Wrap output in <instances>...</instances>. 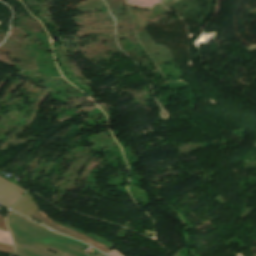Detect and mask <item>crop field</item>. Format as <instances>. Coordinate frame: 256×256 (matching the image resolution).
<instances>
[{
    "label": "crop field",
    "mask_w": 256,
    "mask_h": 256,
    "mask_svg": "<svg viewBox=\"0 0 256 256\" xmlns=\"http://www.w3.org/2000/svg\"><path fill=\"white\" fill-rule=\"evenodd\" d=\"M0 230L7 231V228L5 226L4 217H2V216H0Z\"/></svg>",
    "instance_id": "dd49c442"
},
{
    "label": "crop field",
    "mask_w": 256,
    "mask_h": 256,
    "mask_svg": "<svg viewBox=\"0 0 256 256\" xmlns=\"http://www.w3.org/2000/svg\"><path fill=\"white\" fill-rule=\"evenodd\" d=\"M0 242L12 245V240L7 232L0 231Z\"/></svg>",
    "instance_id": "412701ff"
},
{
    "label": "crop field",
    "mask_w": 256,
    "mask_h": 256,
    "mask_svg": "<svg viewBox=\"0 0 256 256\" xmlns=\"http://www.w3.org/2000/svg\"><path fill=\"white\" fill-rule=\"evenodd\" d=\"M38 208L33 197L27 192L11 209L30 218Z\"/></svg>",
    "instance_id": "34b2d1b8"
},
{
    "label": "crop field",
    "mask_w": 256,
    "mask_h": 256,
    "mask_svg": "<svg viewBox=\"0 0 256 256\" xmlns=\"http://www.w3.org/2000/svg\"><path fill=\"white\" fill-rule=\"evenodd\" d=\"M34 218H36L37 220L41 221L42 223H44L46 226H48L49 228L51 229H54L56 231H59L61 233H64L66 235H69L71 237H74L76 239H79L81 241H84L90 245H92L93 247L103 251V252H108L109 250L106 249L105 247H103L102 245L94 242L93 240L73 231V230H70L64 226H61L53 221H51L52 219L50 217H48L46 214H44L42 211L38 210L37 213L32 216Z\"/></svg>",
    "instance_id": "8a807250"
},
{
    "label": "crop field",
    "mask_w": 256,
    "mask_h": 256,
    "mask_svg": "<svg viewBox=\"0 0 256 256\" xmlns=\"http://www.w3.org/2000/svg\"><path fill=\"white\" fill-rule=\"evenodd\" d=\"M0 249L13 252V246L0 243Z\"/></svg>",
    "instance_id": "f4fd0767"
},
{
    "label": "crop field",
    "mask_w": 256,
    "mask_h": 256,
    "mask_svg": "<svg viewBox=\"0 0 256 256\" xmlns=\"http://www.w3.org/2000/svg\"><path fill=\"white\" fill-rule=\"evenodd\" d=\"M25 189L0 177V203L10 208Z\"/></svg>",
    "instance_id": "ac0d7876"
},
{
    "label": "crop field",
    "mask_w": 256,
    "mask_h": 256,
    "mask_svg": "<svg viewBox=\"0 0 256 256\" xmlns=\"http://www.w3.org/2000/svg\"><path fill=\"white\" fill-rule=\"evenodd\" d=\"M115 250V249H114ZM111 251L108 255H110V256H123V255H121L120 253H118V252H116V251Z\"/></svg>",
    "instance_id": "e52e79f7"
}]
</instances>
